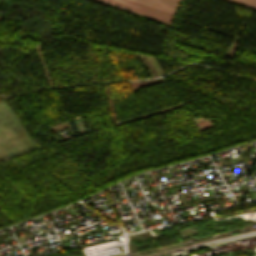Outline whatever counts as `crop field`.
Wrapping results in <instances>:
<instances>
[{"instance_id":"2","label":"crop field","mask_w":256,"mask_h":256,"mask_svg":"<svg viewBox=\"0 0 256 256\" xmlns=\"http://www.w3.org/2000/svg\"><path fill=\"white\" fill-rule=\"evenodd\" d=\"M141 4H145L169 13H174L177 1L174 0H132Z\"/></svg>"},{"instance_id":"1","label":"crop field","mask_w":256,"mask_h":256,"mask_svg":"<svg viewBox=\"0 0 256 256\" xmlns=\"http://www.w3.org/2000/svg\"><path fill=\"white\" fill-rule=\"evenodd\" d=\"M143 16H147L165 23H170L172 14L141 5L129 0H98Z\"/></svg>"},{"instance_id":"3","label":"crop field","mask_w":256,"mask_h":256,"mask_svg":"<svg viewBox=\"0 0 256 256\" xmlns=\"http://www.w3.org/2000/svg\"><path fill=\"white\" fill-rule=\"evenodd\" d=\"M239 3H242L244 5L256 8V0H233Z\"/></svg>"}]
</instances>
